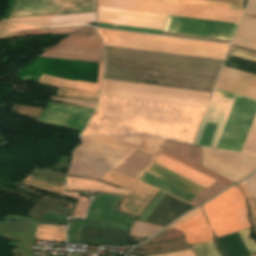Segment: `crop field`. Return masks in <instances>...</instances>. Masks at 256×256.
<instances>
[{
	"instance_id": "1",
	"label": "crop field",
	"mask_w": 256,
	"mask_h": 256,
	"mask_svg": "<svg viewBox=\"0 0 256 256\" xmlns=\"http://www.w3.org/2000/svg\"><path fill=\"white\" fill-rule=\"evenodd\" d=\"M204 109L101 96L81 136L150 133L191 143Z\"/></svg>"
},
{
	"instance_id": "2",
	"label": "crop field",
	"mask_w": 256,
	"mask_h": 256,
	"mask_svg": "<svg viewBox=\"0 0 256 256\" xmlns=\"http://www.w3.org/2000/svg\"><path fill=\"white\" fill-rule=\"evenodd\" d=\"M215 91L222 92L224 93V96L234 98L236 101L234 99L224 97L222 96V93ZM215 91L212 94L196 140L194 139V143H198L206 120H210L219 122V124L207 121L198 145L209 147L218 124L210 145L211 147L217 146L235 101L217 148L240 151L256 112V100L216 89Z\"/></svg>"
},
{
	"instance_id": "3",
	"label": "crop field",
	"mask_w": 256,
	"mask_h": 256,
	"mask_svg": "<svg viewBox=\"0 0 256 256\" xmlns=\"http://www.w3.org/2000/svg\"><path fill=\"white\" fill-rule=\"evenodd\" d=\"M103 66L104 64H100L99 67V63L38 57L32 62H28L25 67H20L16 73V78L17 81L36 82L38 73H41L79 82L96 84L99 67L97 85L79 83L41 74H39L37 80L38 83L81 91L77 92L59 89L57 93L59 96L80 97L97 100L102 83Z\"/></svg>"
},
{
	"instance_id": "4",
	"label": "crop field",
	"mask_w": 256,
	"mask_h": 256,
	"mask_svg": "<svg viewBox=\"0 0 256 256\" xmlns=\"http://www.w3.org/2000/svg\"><path fill=\"white\" fill-rule=\"evenodd\" d=\"M162 141L148 135L84 137L73 153L68 174L102 180L135 147L156 153Z\"/></svg>"
},
{
	"instance_id": "5",
	"label": "crop field",
	"mask_w": 256,
	"mask_h": 256,
	"mask_svg": "<svg viewBox=\"0 0 256 256\" xmlns=\"http://www.w3.org/2000/svg\"><path fill=\"white\" fill-rule=\"evenodd\" d=\"M105 45L224 59L230 44L98 29Z\"/></svg>"
},
{
	"instance_id": "6",
	"label": "crop field",
	"mask_w": 256,
	"mask_h": 256,
	"mask_svg": "<svg viewBox=\"0 0 256 256\" xmlns=\"http://www.w3.org/2000/svg\"><path fill=\"white\" fill-rule=\"evenodd\" d=\"M98 6L238 23L243 11L158 1L98 0Z\"/></svg>"
},
{
	"instance_id": "7",
	"label": "crop field",
	"mask_w": 256,
	"mask_h": 256,
	"mask_svg": "<svg viewBox=\"0 0 256 256\" xmlns=\"http://www.w3.org/2000/svg\"><path fill=\"white\" fill-rule=\"evenodd\" d=\"M203 210L217 237L251 226L245 198L236 185L203 205Z\"/></svg>"
},
{
	"instance_id": "8",
	"label": "crop field",
	"mask_w": 256,
	"mask_h": 256,
	"mask_svg": "<svg viewBox=\"0 0 256 256\" xmlns=\"http://www.w3.org/2000/svg\"><path fill=\"white\" fill-rule=\"evenodd\" d=\"M154 155V153L135 148L128 156H126L112 169V172L136 181L151 166ZM139 180L162 189L186 202L195 197V195L188 193L148 172L141 176Z\"/></svg>"
},
{
	"instance_id": "9",
	"label": "crop field",
	"mask_w": 256,
	"mask_h": 256,
	"mask_svg": "<svg viewBox=\"0 0 256 256\" xmlns=\"http://www.w3.org/2000/svg\"><path fill=\"white\" fill-rule=\"evenodd\" d=\"M95 12V0H16L9 18Z\"/></svg>"
},
{
	"instance_id": "10",
	"label": "crop field",
	"mask_w": 256,
	"mask_h": 256,
	"mask_svg": "<svg viewBox=\"0 0 256 256\" xmlns=\"http://www.w3.org/2000/svg\"><path fill=\"white\" fill-rule=\"evenodd\" d=\"M41 56L104 63L102 39L98 34H72Z\"/></svg>"
},
{
	"instance_id": "11",
	"label": "crop field",
	"mask_w": 256,
	"mask_h": 256,
	"mask_svg": "<svg viewBox=\"0 0 256 256\" xmlns=\"http://www.w3.org/2000/svg\"><path fill=\"white\" fill-rule=\"evenodd\" d=\"M202 153L203 166L235 182L256 169V156L205 148H202Z\"/></svg>"
},
{
	"instance_id": "12",
	"label": "crop field",
	"mask_w": 256,
	"mask_h": 256,
	"mask_svg": "<svg viewBox=\"0 0 256 256\" xmlns=\"http://www.w3.org/2000/svg\"><path fill=\"white\" fill-rule=\"evenodd\" d=\"M237 25L169 16L164 31L231 40Z\"/></svg>"
},
{
	"instance_id": "13",
	"label": "crop field",
	"mask_w": 256,
	"mask_h": 256,
	"mask_svg": "<svg viewBox=\"0 0 256 256\" xmlns=\"http://www.w3.org/2000/svg\"><path fill=\"white\" fill-rule=\"evenodd\" d=\"M164 15L98 7V22L163 30Z\"/></svg>"
},
{
	"instance_id": "14",
	"label": "crop field",
	"mask_w": 256,
	"mask_h": 256,
	"mask_svg": "<svg viewBox=\"0 0 256 256\" xmlns=\"http://www.w3.org/2000/svg\"><path fill=\"white\" fill-rule=\"evenodd\" d=\"M92 112L90 109L49 103L38 121L83 130Z\"/></svg>"
},
{
	"instance_id": "15",
	"label": "crop field",
	"mask_w": 256,
	"mask_h": 256,
	"mask_svg": "<svg viewBox=\"0 0 256 256\" xmlns=\"http://www.w3.org/2000/svg\"><path fill=\"white\" fill-rule=\"evenodd\" d=\"M148 172L188 191L195 195L200 193L205 188L153 163L152 166L149 168ZM225 185L214 182L212 185H210L208 188H206L204 191H202L200 194H198L195 198H193L189 203L197 206L198 204L210 199L215 194H217L220 190L224 189Z\"/></svg>"
},
{
	"instance_id": "16",
	"label": "crop field",
	"mask_w": 256,
	"mask_h": 256,
	"mask_svg": "<svg viewBox=\"0 0 256 256\" xmlns=\"http://www.w3.org/2000/svg\"><path fill=\"white\" fill-rule=\"evenodd\" d=\"M215 88L256 99V75L224 66Z\"/></svg>"
},
{
	"instance_id": "17",
	"label": "crop field",
	"mask_w": 256,
	"mask_h": 256,
	"mask_svg": "<svg viewBox=\"0 0 256 256\" xmlns=\"http://www.w3.org/2000/svg\"><path fill=\"white\" fill-rule=\"evenodd\" d=\"M121 199V196L96 193L86 219L133 224L135 217L116 211V205Z\"/></svg>"
},
{
	"instance_id": "18",
	"label": "crop field",
	"mask_w": 256,
	"mask_h": 256,
	"mask_svg": "<svg viewBox=\"0 0 256 256\" xmlns=\"http://www.w3.org/2000/svg\"><path fill=\"white\" fill-rule=\"evenodd\" d=\"M103 87L207 99L210 93L187 89L104 80Z\"/></svg>"
},
{
	"instance_id": "19",
	"label": "crop field",
	"mask_w": 256,
	"mask_h": 256,
	"mask_svg": "<svg viewBox=\"0 0 256 256\" xmlns=\"http://www.w3.org/2000/svg\"><path fill=\"white\" fill-rule=\"evenodd\" d=\"M101 95L149 100V101H157V102H166V103H175V104H184V105H192V106H201V107H205L208 101L203 99L124 91V90L107 89V88H103Z\"/></svg>"
},
{
	"instance_id": "20",
	"label": "crop field",
	"mask_w": 256,
	"mask_h": 256,
	"mask_svg": "<svg viewBox=\"0 0 256 256\" xmlns=\"http://www.w3.org/2000/svg\"><path fill=\"white\" fill-rule=\"evenodd\" d=\"M246 13L256 14V0H249ZM233 43L256 49V20L242 17Z\"/></svg>"
},
{
	"instance_id": "21",
	"label": "crop field",
	"mask_w": 256,
	"mask_h": 256,
	"mask_svg": "<svg viewBox=\"0 0 256 256\" xmlns=\"http://www.w3.org/2000/svg\"><path fill=\"white\" fill-rule=\"evenodd\" d=\"M174 229L184 233L189 245L213 240L212 232L206 224L203 213Z\"/></svg>"
},
{
	"instance_id": "22",
	"label": "crop field",
	"mask_w": 256,
	"mask_h": 256,
	"mask_svg": "<svg viewBox=\"0 0 256 256\" xmlns=\"http://www.w3.org/2000/svg\"><path fill=\"white\" fill-rule=\"evenodd\" d=\"M156 163L190 179L191 181L203 186V187H207L209 186L211 183H213L214 179L186 166L183 165L181 163H178L176 161H173L171 159H168L164 156H161L159 154H157V158H156Z\"/></svg>"
},
{
	"instance_id": "23",
	"label": "crop field",
	"mask_w": 256,
	"mask_h": 256,
	"mask_svg": "<svg viewBox=\"0 0 256 256\" xmlns=\"http://www.w3.org/2000/svg\"><path fill=\"white\" fill-rule=\"evenodd\" d=\"M228 54L256 62V51L253 50L232 45ZM229 55L227 56V59L225 61V66L256 74L255 62L247 61Z\"/></svg>"
},
{
	"instance_id": "24",
	"label": "crop field",
	"mask_w": 256,
	"mask_h": 256,
	"mask_svg": "<svg viewBox=\"0 0 256 256\" xmlns=\"http://www.w3.org/2000/svg\"><path fill=\"white\" fill-rule=\"evenodd\" d=\"M65 189L81 190V191H100L108 193H116L125 195L126 189L108 186L100 181L90 180L86 178L67 177V185Z\"/></svg>"
},
{
	"instance_id": "25",
	"label": "crop field",
	"mask_w": 256,
	"mask_h": 256,
	"mask_svg": "<svg viewBox=\"0 0 256 256\" xmlns=\"http://www.w3.org/2000/svg\"><path fill=\"white\" fill-rule=\"evenodd\" d=\"M162 149L180 155L201 165V151L198 147L166 139Z\"/></svg>"
},
{
	"instance_id": "26",
	"label": "crop field",
	"mask_w": 256,
	"mask_h": 256,
	"mask_svg": "<svg viewBox=\"0 0 256 256\" xmlns=\"http://www.w3.org/2000/svg\"><path fill=\"white\" fill-rule=\"evenodd\" d=\"M60 33H97L95 28L89 26H71L42 30L24 31L13 34L9 37L26 36V35H42V34H60Z\"/></svg>"
},
{
	"instance_id": "27",
	"label": "crop field",
	"mask_w": 256,
	"mask_h": 256,
	"mask_svg": "<svg viewBox=\"0 0 256 256\" xmlns=\"http://www.w3.org/2000/svg\"><path fill=\"white\" fill-rule=\"evenodd\" d=\"M94 21H96V16L24 20L20 22L33 23V24H39V25H45V26H61V25H71V24H83V23H89Z\"/></svg>"
},
{
	"instance_id": "28",
	"label": "crop field",
	"mask_w": 256,
	"mask_h": 256,
	"mask_svg": "<svg viewBox=\"0 0 256 256\" xmlns=\"http://www.w3.org/2000/svg\"><path fill=\"white\" fill-rule=\"evenodd\" d=\"M66 228L62 226L38 225L35 239L66 241Z\"/></svg>"
},
{
	"instance_id": "29",
	"label": "crop field",
	"mask_w": 256,
	"mask_h": 256,
	"mask_svg": "<svg viewBox=\"0 0 256 256\" xmlns=\"http://www.w3.org/2000/svg\"><path fill=\"white\" fill-rule=\"evenodd\" d=\"M243 10L244 0H166Z\"/></svg>"
},
{
	"instance_id": "30",
	"label": "crop field",
	"mask_w": 256,
	"mask_h": 256,
	"mask_svg": "<svg viewBox=\"0 0 256 256\" xmlns=\"http://www.w3.org/2000/svg\"><path fill=\"white\" fill-rule=\"evenodd\" d=\"M159 153H161V154H163V155H165V156H167V157H169V158H171L173 160H176L178 162H181L183 164L191 166V167L199 170L200 172H202V173H204V174H206V175L216 179L217 181H219V182H221V183H223V184H225L227 186L232 184V183H234V182H232V181H230V180H228V179H226V178H224V177H222V176H220V175H218V174H216V173H214V172H212V171H210V170H208V169H206V168H204V167H202V166H200L198 164L192 163V162H190V161H188V160H186V159H184V158H182L180 156H177L175 154L169 153V152L164 151L162 149H160Z\"/></svg>"
},
{
	"instance_id": "31",
	"label": "crop field",
	"mask_w": 256,
	"mask_h": 256,
	"mask_svg": "<svg viewBox=\"0 0 256 256\" xmlns=\"http://www.w3.org/2000/svg\"><path fill=\"white\" fill-rule=\"evenodd\" d=\"M162 228L163 227L160 226L136 222L134 227L131 229L130 235L148 238Z\"/></svg>"
},
{
	"instance_id": "32",
	"label": "crop field",
	"mask_w": 256,
	"mask_h": 256,
	"mask_svg": "<svg viewBox=\"0 0 256 256\" xmlns=\"http://www.w3.org/2000/svg\"><path fill=\"white\" fill-rule=\"evenodd\" d=\"M196 256H220L216 251L213 241L191 246Z\"/></svg>"
},
{
	"instance_id": "33",
	"label": "crop field",
	"mask_w": 256,
	"mask_h": 256,
	"mask_svg": "<svg viewBox=\"0 0 256 256\" xmlns=\"http://www.w3.org/2000/svg\"><path fill=\"white\" fill-rule=\"evenodd\" d=\"M241 151L256 155V117L253 120Z\"/></svg>"
},
{
	"instance_id": "34",
	"label": "crop field",
	"mask_w": 256,
	"mask_h": 256,
	"mask_svg": "<svg viewBox=\"0 0 256 256\" xmlns=\"http://www.w3.org/2000/svg\"><path fill=\"white\" fill-rule=\"evenodd\" d=\"M65 195L79 199L77 206L75 208V211L73 213V216L84 218L87 206L89 204V200H87V198H85V197L78 196V194H76V193L65 192Z\"/></svg>"
},
{
	"instance_id": "35",
	"label": "crop field",
	"mask_w": 256,
	"mask_h": 256,
	"mask_svg": "<svg viewBox=\"0 0 256 256\" xmlns=\"http://www.w3.org/2000/svg\"><path fill=\"white\" fill-rule=\"evenodd\" d=\"M3 21L4 20H1L0 23H2ZM6 22H10V21H6ZM6 22H3L2 24H0V37L5 35V34H7V33H9V32H11V31H15V30H18V29L33 28V27H29V26H33V25L23 26V25H27V24L18 25V24H22V23L12 24V23H16V22H12V23H6ZM35 27L44 28V27H39V26H35ZM24 30H27V29H24ZM19 31H23V30H18V31H15V32H19ZM15 32H12V33H15ZM12 33H10V34H12ZM10 34H8V35H10Z\"/></svg>"
},
{
	"instance_id": "36",
	"label": "crop field",
	"mask_w": 256,
	"mask_h": 256,
	"mask_svg": "<svg viewBox=\"0 0 256 256\" xmlns=\"http://www.w3.org/2000/svg\"><path fill=\"white\" fill-rule=\"evenodd\" d=\"M189 248H190V246L188 244H183V245H179V246H173V247H167V248L149 250V251H135V252L133 251L132 253L153 255V254L166 253V252H172V251L189 249Z\"/></svg>"
},
{
	"instance_id": "37",
	"label": "crop field",
	"mask_w": 256,
	"mask_h": 256,
	"mask_svg": "<svg viewBox=\"0 0 256 256\" xmlns=\"http://www.w3.org/2000/svg\"><path fill=\"white\" fill-rule=\"evenodd\" d=\"M98 27L162 34L163 31L98 23Z\"/></svg>"
},
{
	"instance_id": "38",
	"label": "crop field",
	"mask_w": 256,
	"mask_h": 256,
	"mask_svg": "<svg viewBox=\"0 0 256 256\" xmlns=\"http://www.w3.org/2000/svg\"><path fill=\"white\" fill-rule=\"evenodd\" d=\"M181 236H183V234L178 232V231H176V230H164L162 233H160L154 239H152V240H150V241H148L146 243L157 242V241L172 239V238L181 237Z\"/></svg>"
},
{
	"instance_id": "39",
	"label": "crop field",
	"mask_w": 256,
	"mask_h": 256,
	"mask_svg": "<svg viewBox=\"0 0 256 256\" xmlns=\"http://www.w3.org/2000/svg\"><path fill=\"white\" fill-rule=\"evenodd\" d=\"M251 233L250 229H246L243 231H240V234L251 254V256L256 254V243L253 239H250L247 235H249Z\"/></svg>"
},
{
	"instance_id": "40",
	"label": "crop field",
	"mask_w": 256,
	"mask_h": 256,
	"mask_svg": "<svg viewBox=\"0 0 256 256\" xmlns=\"http://www.w3.org/2000/svg\"><path fill=\"white\" fill-rule=\"evenodd\" d=\"M25 180L32 181V182H35L37 184H41V185H44V186H47V187H51V188H54V189H57V190H58V188L63 189V186H61V185H56V184H52V183L46 182V181H50V180H46V179H43V178L31 175V174ZM43 180H46V181H43ZM50 182H54V183H58V184H62L63 185V183L56 182V181H50Z\"/></svg>"
},
{
	"instance_id": "41",
	"label": "crop field",
	"mask_w": 256,
	"mask_h": 256,
	"mask_svg": "<svg viewBox=\"0 0 256 256\" xmlns=\"http://www.w3.org/2000/svg\"><path fill=\"white\" fill-rule=\"evenodd\" d=\"M185 242H186L185 238H180V239L171 240V241L153 244V245H142L138 249H151V248L166 247V246L179 244V243H185Z\"/></svg>"
},
{
	"instance_id": "42",
	"label": "crop field",
	"mask_w": 256,
	"mask_h": 256,
	"mask_svg": "<svg viewBox=\"0 0 256 256\" xmlns=\"http://www.w3.org/2000/svg\"><path fill=\"white\" fill-rule=\"evenodd\" d=\"M202 213L200 207L191 211L190 213H188L187 215H185L184 217H182L180 220H178L177 222H175L174 224H172L170 227L168 228H174L188 220H190L191 218L195 217L196 215Z\"/></svg>"
},
{
	"instance_id": "43",
	"label": "crop field",
	"mask_w": 256,
	"mask_h": 256,
	"mask_svg": "<svg viewBox=\"0 0 256 256\" xmlns=\"http://www.w3.org/2000/svg\"><path fill=\"white\" fill-rule=\"evenodd\" d=\"M244 183L256 201V176L252 175L250 178L244 180Z\"/></svg>"
},
{
	"instance_id": "44",
	"label": "crop field",
	"mask_w": 256,
	"mask_h": 256,
	"mask_svg": "<svg viewBox=\"0 0 256 256\" xmlns=\"http://www.w3.org/2000/svg\"><path fill=\"white\" fill-rule=\"evenodd\" d=\"M87 15H96V13L74 14V15H60V16H45V17H31V18H16V19H9V20L39 19V18H55V17H71V16H87Z\"/></svg>"
},
{
	"instance_id": "45",
	"label": "crop field",
	"mask_w": 256,
	"mask_h": 256,
	"mask_svg": "<svg viewBox=\"0 0 256 256\" xmlns=\"http://www.w3.org/2000/svg\"><path fill=\"white\" fill-rule=\"evenodd\" d=\"M156 256H194V254L192 250H186V251L173 252V253L161 254Z\"/></svg>"
},
{
	"instance_id": "46",
	"label": "crop field",
	"mask_w": 256,
	"mask_h": 256,
	"mask_svg": "<svg viewBox=\"0 0 256 256\" xmlns=\"http://www.w3.org/2000/svg\"><path fill=\"white\" fill-rule=\"evenodd\" d=\"M24 183H27V182H24ZM27 184H29V185H31V186L38 187V188H42V189H46V190H49V191H53V192L60 193V192H58V191H55V190H53V189H49V188H46V187L38 186V185H35V184H31V183H27ZM61 194H62V193H61Z\"/></svg>"
},
{
	"instance_id": "47",
	"label": "crop field",
	"mask_w": 256,
	"mask_h": 256,
	"mask_svg": "<svg viewBox=\"0 0 256 256\" xmlns=\"http://www.w3.org/2000/svg\"><path fill=\"white\" fill-rule=\"evenodd\" d=\"M254 175H256V173H254Z\"/></svg>"
}]
</instances>
